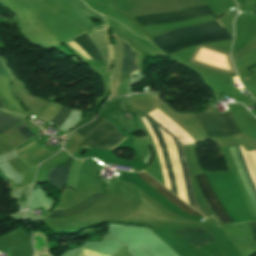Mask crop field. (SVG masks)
Wrapping results in <instances>:
<instances>
[{
	"label": "crop field",
	"instance_id": "8a807250",
	"mask_svg": "<svg viewBox=\"0 0 256 256\" xmlns=\"http://www.w3.org/2000/svg\"><path fill=\"white\" fill-rule=\"evenodd\" d=\"M218 23L212 21L195 27L173 30L153 40L158 47L170 54L200 43L230 39L231 37Z\"/></svg>",
	"mask_w": 256,
	"mask_h": 256
},
{
	"label": "crop field",
	"instance_id": "ac0d7876",
	"mask_svg": "<svg viewBox=\"0 0 256 256\" xmlns=\"http://www.w3.org/2000/svg\"><path fill=\"white\" fill-rule=\"evenodd\" d=\"M146 116L148 117V119H149L152 127L154 128V130H155V132H156V134H157V136L159 138V141L161 143L163 154H164V158H165V162H166V167H167V171H168V175H169V179H170V184H171L172 192L175 193L177 196H179L178 195V191H177V187H176V183H175V178H174V174H173V170H172V166H171V161H170L167 145H166L164 137H163L160 129L158 128V126L162 130H164L177 143L178 149H179V153H180V157H181V161H182V165H183L185 176H186V180H187V184H188V188H189V193H190V199H191L192 207L195 208L197 211L203 213L197 207V202H196L195 194H194L192 183H191V179H190V174H189V171H188V168H187V165H186V161H185V156H184L182 145L179 143V141L172 134H170L168 131H166L162 126H160L156 122L158 124V126H157L155 121H154V119L152 117H150L148 114H146ZM140 179H142L145 182H147L150 186H152L154 189H156L158 192H160L162 195H164L168 200H170L172 203H174L180 209L185 211L187 214H189V215H196V216H203V215L195 212L194 210H192L190 207H188L186 204H184L182 201H180L178 198H176L174 195H172L169 191H167L164 187H162L160 184H158L156 181H154L148 175H146L144 173H141L140 174ZM205 216H207V215H205Z\"/></svg>",
	"mask_w": 256,
	"mask_h": 256
},
{
	"label": "crop field",
	"instance_id": "34b2d1b8",
	"mask_svg": "<svg viewBox=\"0 0 256 256\" xmlns=\"http://www.w3.org/2000/svg\"><path fill=\"white\" fill-rule=\"evenodd\" d=\"M209 140L240 133L232 113L229 114H195Z\"/></svg>",
	"mask_w": 256,
	"mask_h": 256
},
{
	"label": "crop field",
	"instance_id": "412701ff",
	"mask_svg": "<svg viewBox=\"0 0 256 256\" xmlns=\"http://www.w3.org/2000/svg\"><path fill=\"white\" fill-rule=\"evenodd\" d=\"M125 138L116 130L113 124L104 121L83 140L81 146L111 150Z\"/></svg>",
	"mask_w": 256,
	"mask_h": 256
},
{
	"label": "crop field",
	"instance_id": "f4fd0767",
	"mask_svg": "<svg viewBox=\"0 0 256 256\" xmlns=\"http://www.w3.org/2000/svg\"><path fill=\"white\" fill-rule=\"evenodd\" d=\"M213 15L207 6L197 7L177 12L164 13V14H153L142 17H135L143 26L171 23L177 21H183L188 19H194L204 16ZM214 17V15H213ZM215 19V17H214Z\"/></svg>",
	"mask_w": 256,
	"mask_h": 256
},
{
	"label": "crop field",
	"instance_id": "dd49c442",
	"mask_svg": "<svg viewBox=\"0 0 256 256\" xmlns=\"http://www.w3.org/2000/svg\"><path fill=\"white\" fill-rule=\"evenodd\" d=\"M66 1L86 21V23L93 30H98V29L107 27L105 20L102 18V16L100 14H97L91 11L81 0H66ZM91 19L100 20L101 23L99 25H95L91 22ZM35 45L45 49H53L59 46V45H39V44H35Z\"/></svg>",
	"mask_w": 256,
	"mask_h": 256
},
{
	"label": "crop field",
	"instance_id": "e52e79f7",
	"mask_svg": "<svg viewBox=\"0 0 256 256\" xmlns=\"http://www.w3.org/2000/svg\"><path fill=\"white\" fill-rule=\"evenodd\" d=\"M237 147H238V149H239L240 155H241L242 160H243V162H244V165H245V167H246V170H247V173H248L249 178H250V180H251V183H252V186H253V188H254V191H255V193H256V182H255V179H254V176H253L251 167H250V165H249V162H248L246 153H245V151H244V149H243L242 147H239V146H237ZM237 147H236V146H235V147H231V149H232L233 155H234V157H235V159H236V162H237V164H238V166H239V168H240V171H241V173H242V175H243V178H244V180H245V182H246V185H247V187H248V190H249V192H250V194H251L253 203H254L255 208H256V196H255V193H254L253 188H252V186H251L250 180H249L248 175H247V173H246L245 167H244V165H243V162H242V160H241V157H240V155H239V152H238Z\"/></svg>",
	"mask_w": 256,
	"mask_h": 256
},
{
	"label": "crop field",
	"instance_id": "d8731c3e",
	"mask_svg": "<svg viewBox=\"0 0 256 256\" xmlns=\"http://www.w3.org/2000/svg\"><path fill=\"white\" fill-rule=\"evenodd\" d=\"M174 231L190 243L195 249L215 242L212 236L202 228Z\"/></svg>",
	"mask_w": 256,
	"mask_h": 256
},
{
	"label": "crop field",
	"instance_id": "5a996713",
	"mask_svg": "<svg viewBox=\"0 0 256 256\" xmlns=\"http://www.w3.org/2000/svg\"><path fill=\"white\" fill-rule=\"evenodd\" d=\"M195 177H196V179H197V181L200 185V188H201L207 202L210 204V206L212 207L214 212L217 214L219 219L222 221V223L231 222L229 216L224 211L223 207L218 202V200L215 198V196H214V194H213V192H212L204 174L197 175Z\"/></svg>",
	"mask_w": 256,
	"mask_h": 256
},
{
	"label": "crop field",
	"instance_id": "3316defc",
	"mask_svg": "<svg viewBox=\"0 0 256 256\" xmlns=\"http://www.w3.org/2000/svg\"><path fill=\"white\" fill-rule=\"evenodd\" d=\"M107 196H109V195L92 194L89 197H87L86 199H84L83 201H81L80 203H78L72 207H69L64 210H53L47 217H68V216L77 214V213L89 208L90 206L95 204L97 201H99L100 199H103Z\"/></svg>",
	"mask_w": 256,
	"mask_h": 256
},
{
	"label": "crop field",
	"instance_id": "28ad6ade",
	"mask_svg": "<svg viewBox=\"0 0 256 256\" xmlns=\"http://www.w3.org/2000/svg\"><path fill=\"white\" fill-rule=\"evenodd\" d=\"M137 52H133L124 42L122 48L120 82L136 71Z\"/></svg>",
	"mask_w": 256,
	"mask_h": 256
},
{
	"label": "crop field",
	"instance_id": "d1516ede",
	"mask_svg": "<svg viewBox=\"0 0 256 256\" xmlns=\"http://www.w3.org/2000/svg\"><path fill=\"white\" fill-rule=\"evenodd\" d=\"M68 167H69V165L66 167H63V168H54L53 167V169L47 176L48 183L59 191H61L62 188L64 187V185L67 183Z\"/></svg>",
	"mask_w": 256,
	"mask_h": 256
},
{
	"label": "crop field",
	"instance_id": "22f410ed",
	"mask_svg": "<svg viewBox=\"0 0 256 256\" xmlns=\"http://www.w3.org/2000/svg\"><path fill=\"white\" fill-rule=\"evenodd\" d=\"M99 31V30H98ZM76 40L94 60H102L97 49L93 46V44L85 37V35L80 36Z\"/></svg>",
	"mask_w": 256,
	"mask_h": 256
},
{
	"label": "crop field",
	"instance_id": "cbeb9de0",
	"mask_svg": "<svg viewBox=\"0 0 256 256\" xmlns=\"http://www.w3.org/2000/svg\"><path fill=\"white\" fill-rule=\"evenodd\" d=\"M10 115L0 113V123L5 121L6 119L10 118ZM22 119L12 116L10 119L6 120L5 122L0 124V134L9 130L16 124L20 123Z\"/></svg>",
	"mask_w": 256,
	"mask_h": 256
},
{
	"label": "crop field",
	"instance_id": "5142ce71",
	"mask_svg": "<svg viewBox=\"0 0 256 256\" xmlns=\"http://www.w3.org/2000/svg\"><path fill=\"white\" fill-rule=\"evenodd\" d=\"M104 120L105 118L97 117L93 122L75 130L74 132L86 138Z\"/></svg>",
	"mask_w": 256,
	"mask_h": 256
},
{
	"label": "crop field",
	"instance_id": "d9b57169",
	"mask_svg": "<svg viewBox=\"0 0 256 256\" xmlns=\"http://www.w3.org/2000/svg\"><path fill=\"white\" fill-rule=\"evenodd\" d=\"M70 110H71V109L62 106L61 109H60V111L58 112V114L55 116V118H54L51 122H52L53 124H56V125L60 126L61 123H62L63 121H65L66 118L68 117Z\"/></svg>",
	"mask_w": 256,
	"mask_h": 256
},
{
	"label": "crop field",
	"instance_id": "733c2abd",
	"mask_svg": "<svg viewBox=\"0 0 256 256\" xmlns=\"http://www.w3.org/2000/svg\"><path fill=\"white\" fill-rule=\"evenodd\" d=\"M14 129L17 130L19 133H21L27 139L34 135L28 129H26L22 124Z\"/></svg>",
	"mask_w": 256,
	"mask_h": 256
},
{
	"label": "crop field",
	"instance_id": "4a817a6b",
	"mask_svg": "<svg viewBox=\"0 0 256 256\" xmlns=\"http://www.w3.org/2000/svg\"><path fill=\"white\" fill-rule=\"evenodd\" d=\"M79 256H106V255L96 253V252H93V251L86 250V249L82 248Z\"/></svg>",
	"mask_w": 256,
	"mask_h": 256
},
{
	"label": "crop field",
	"instance_id": "bc2a9ffb",
	"mask_svg": "<svg viewBox=\"0 0 256 256\" xmlns=\"http://www.w3.org/2000/svg\"><path fill=\"white\" fill-rule=\"evenodd\" d=\"M249 226H250V229L252 231V236H253V239L255 240L256 242V223H248Z\"/></svg>",
	"mask_w": 256,
	"mask_h": 256
},
{
	"label": "crop field",
	"instance_id": "214f88e0",
	"mask_svg": "<svg viewBox=\"0 0 256 256\" xmlns=\"http://www.w3.org/2000/svg\"><path fill=\"white\" fill-rule=\"evenodd\" d=\"M0 75H8L4 66L0 63Z\"/></svg>",
	"mask_w": 256,
	"mask_h": 256
},
{
	"label": "crop field",
	"instance_id": "92a150f3",
	"mask_svg": "<svg viewBox=\"0 0 256 256\" xmlns=\"http://www.w3.org/2000/svg\"><path fill=\"white\" fill-rule=\"evenodd\" d=\"M0 108H2V104H1V102H0ZM3 109V108H2Z\"/></svg>",
	"mask_w": 256,
	"mask_h": 256
}]
</instances>
